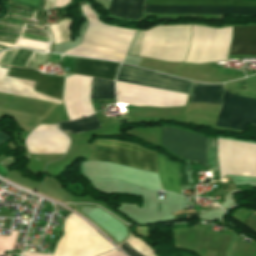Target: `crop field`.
Instances as JSON below:
<instances>
[{"instance_id":"obj_1","label":"crop field","mask_w":256,"mask_h":256,"mask_svg":"<svg viewBox=\"0 0 256 256\" xmlns=\"http://www.w3.org/2000/svg\"><path fill=\"white\" fill-rule=\"evenodd\" d=\"M81 7L89 27L83 42L65 54L123 62L136 31L102 25L87 3Z\"/></svg>"},{"instance_id":"obj_2","label":"crop field","mask_w":256,"mask_h":256,"mask_svg":"<svg viewBox=\"0 0 256 256\" xmlns=\"http://www.w3.org/2000/svg\"><path fill=\"white\" fill-rule=\"evenodd\" d=\"M112 248L94 229L73 214L64 224V236L59 240L53 256H95Z\"/></svg>"},{"instance_id":"obj_3","label":"crop field","mask_w":256,"mask_h":256,"mask_svg":"<svg viewBox=\"0 0 256 256\" xmlns=\"http://www.w3.org/2000/svg\"><path fill=\"white\" fill-rule=\"evenodd\" d=\"M144 4L256 6L249 0H145ZM144 5L143 12L183 14H246L256 15V7L166 6Z\"/></svg>"},{"instance_id":"obj_4","label":"crop field","mask_w":256,"mask_h":256,"mask_svg":"<svg viewBox=\"0 0 256 256\" xmlns=\"http://www.w3.org/2000/svg\"><path fill=\"white\" fill-rule=\"evenodd\" d=\"M90 160L112 162L158 173L156 153L123 142L98 140Z\"/></svg>"},{"instance_id":"obj_5","label":"crop field","mask_w":256,"mask_h":256,"mask_svg":"<svg viewBox=\"0 0 256 256\" xmlns=\"http://www.w3.org/2000/svg\"><path fill=\"white\" fill-rule=\"evenodd\" d=\"M251 120V123L256 124V100L235 96L224 90L216 125L245 130Z\"/></svg>"},{"instance_id":"obj_6","label":"crop field","mask_w":256,"mask_h":256,"mask_svg":"<svg viewBox=\"0 0 256 256\" xmlns=\"http://www.w3.org/2000/svg\"><path fill=\"white\" fill-rule=\"evenodd\" d=\"M162 142L163 147L177 156L206 164V138L164 127L162 129Z\"/></svg>"},{"instance_id":"obj_7","label":"crop field","mask_w":256,"mask_h":256,"mask_svg":"<svg viewBox=\"0 0 256 256\" xmlns=\"http://www.w3.org/2000/svg\"><path fill=\"white\" fill-rule=\"evenodd\" d=\"M118 81L189 94L190 82L122 64Z\"/></svg>"},{"instance_id":"obj_8","label":"crop field","mask_w":256,"mask_h":256,"mask_svg":"<svg viewBox=\"0 0 256 256\" xmlns=\"http://www.w3.org/2000/svg\"><path fill=\"white\" fill-rule=\"evenodd\" d=\"M8 76L35 81V91L61 100L63 77L47 76L36 70L11 67Z\"/></svg>"},{"instance_id":"obj_9","label":"crop field","mask_w":256,"mask_h":256,"mask_svg":"<svg viewBox=\"0 0 256 256\" xmlns=\"http://www.w3.org/2000/svg\"><path fill=\"white\" fill-rule=\"evenodd\" d=\"M118 66L117 63L78 58L72 73L114 80Z\"/></svg>"},{"instance_id":"obj_10","label":"crop field","mask_w":256,"mask_h":256,"mask_svg":"<svg viewBox=\"0 0 256 256\" xmlns=\"http://www.w3.org/2000/svg\"><path fill=\"white\" fill-rule=\"evenodd\" d=\"M256 54V26L234 27L229 55Z\"/></svg>"},{"instance_id":"obj_11","label":"crop field","mask_w":256,"mask_h":256,"mask_svg":"<svg viewBox=\"0 0 256 256\" xmlns=\"http://www.w3.org/2000/svg\"><path fill=\"white\" fill-rule=\"evenodd\" d=\"M157 158L159 175L163 190L173 191L182 195L177 164L169 162L166 158L159 154H157Z\"/></svg>"},{"instance_id":"obj_12","label":"crop field","mask_w":256,"mask_h":256,"mask_svg":"<svg viewBox=\"0 0 256 256\" xmlns=\"http://www.w3.org/2000/svg\"><path fill=\"white\" fill-rule=\"evenodd\" d=\"M143 0H112L109 13L131 19L141 18Z\"/></svg>"},{"instance_id":"obj_13","label":"crop field","mask_w":256,"mask_h":256,"mask_svg":"<svg viewBox=\"0 0 256 256\" xmlns=\"http://www.w3.org/2000/svg\"><path fill=\"white\" fill-rule=\"evenodd\" d=\"M223 86L194 83L190 102H206L220 105Z\"/></svg>"},{"instance_id":"obj_14","label":"crop field","mask_w":256,"mask_h":256,"mask_svg":"<svg viewBox=\"0 0 256 256\" xmlns=\"http://www.w3.org/2000/svg\"><path fill=\"white\" fill-rule=\"evenodd\" d=\"M57 127L67 135L101 128L95 115L71 122L59 123L57 124Z\"/></svg>"},{"instance_id":"obj_15","label":"crop field","mask_w":256,"mask_h":256,"mask_svg":"<svg viewBox=\"0 0 256 256\" xmlns=\"http://www.w3.org/2000/svg\"><path fill=\"white\" fill-rule=\"evenodd\" d=\"M114 97V81L91 77V99Z\"/></svg>"},{"instance_id":"obj_16","label":"crop field","mask_w":256,"mask_h":256,"mask_svg":"<svg viewBox=\"0 0 256 256\" xmlns=\"http://www.w3.org/2000/svg\"><path fill=\"white\" fill-rule=\"evenodd\" d=\"M125 243L144 256H155L148 243L133 235ZM126 244H123L120 247L130 256H142Z\"/></svg>"},{"instance_id":"obj_17","label":"crop field","mask_w":256,"mask_h":256,"mask_svg":"<svg viewBox=\"0 0 256 256\" xmlns=\"http://www.w3.org/2000/svg\"><path fill=\"white\" fill-rule=\"evenodd\" d=\"M18 232L19 231L12 230V233L10 236L0 235V246L14 248ZM2 247H0V256H3V253L5 251L11 250L10 248H2Z\"/></svg>"},{"instance_id":"obj_18","label":"crop field","mask_w":256,"mask_h":256,"mask_svg":"<svg viewBox=\"0 0 256 256\" xmlns=\"http://www.w3.org/2000/svg\"><path fill=\"white\" fill-rule=\"evenodd\" d=\"M14 3L38 9L41 0H11Z\"/></svg>"},{"instance_id":"obj_19","label":"crop field","mask_w":256,"mask_h":256,"mask_svg":"<svg viewBox=\"0 0 256 256\" xmlns=\"http://www.w3.org/2000/svg\"><path fill=\"white\" fill-rule=\"evenodd\" d=\"M244 224H246L247 226H249L251 229H253L256 232V215L251 213Z\"/></svg>"},{"instance_id":"obj_20","label":"crop field","mask_w":256,"mask_h":256,"mask_svg":"<svg viewBox=\"0 0 256 256\" xmlns=\"http://www.w3.org/2000/svg\"><path fill=\"white\" fill-rule=\"evenodd\" d=\"M22 256H52V255H44L40 253H28V252H23Z\"/></svg>"},{"instance_id":"obj_21","label":"crop field","mask_w":256,"mask_h":256,"mask_svg":"<svg viewBox=\"0 0 256 256\" xmlns=\"http://www.w3.org/2000/svg\"><path fill=\"white\" fill-rule=\"evenodd\" d=\"M100 256H122V255L119 254L117 251L113 250L109 253H106V254H103V255H100Z\"/></svg>"},{"instance_id":"obj_22","label":"crop field","mask_w":256,"mask_h":256,"mask_svg":"<svg viewBox=\"0 0 256 256\" xmlns=\"http://www.w3.org/2000/svg\"><path fill=\"white\" fill-rule=\"evenodd\" d=\"M9 138L7 137L6 134L0 133V145L6 142Z\"/></svg>"}]
</instances>
